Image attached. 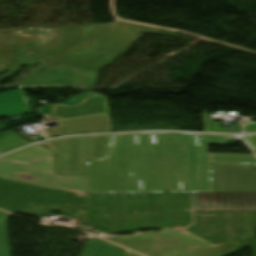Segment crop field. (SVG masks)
Returning a JSON list of instances; mask_svg holds the SVG:
<instances>
[{"instance_id": "28ad6ade", "label": "crop field", "mask_w": 256, "mask_h": 256, "mask_svg": "<svg viewBox=\"0 0 256 256\" xmlns=\"http://www.w3.org/2000/svg\"><path fill=\"white\" fill-rule=\"evenodd\" d=\"M19 28H15V29H4V30H0V31H13V30H17Z\"/></svg>"}, {"instance_id": "dd49c442", "label": "crop field", "mask_w": 256, "mask_h": 256, "mask_svg": "<svg viewBox=\"0 0 256 256\" xmlns=\"http://www.w3.org/2000/svg\"><path fill=\"white\" fill-rule=\"evenodd\" d=\"M238 247V242L233 244H220L219 246L211 247L184 256H228L230 252Z\"/></svg>"}, {"instance_id": "f4fd0767", "label": "crop field", "mask_w": 256, "mask_h": 256, "mask_svg": "<svg viewBox=\"0 0 256 256\" xmlns=\"http://www.w3.org/2000/svg\"><path fill=\"white\" fill-rule=\"evenodd\" d=\"M212 163L256 165L254 155L210 154Z\"/></svg>"}, {"instance_id": "34b2d1b8", "label": "crop field", "mask_w": 256, "mask_h": 256, "mask_svg": "<svg viewBox=\"0 0 256 256\" xmlns=\"http://www.w3.org/2000/svg\"><path fill=\"white\" fill-rule=\"evenodd\" d=\"M26 113H28V103L22 91L0 94V117H13Z\"/></svg>"}, {"instance_id": "412701ff", "label": "crop field", "mask_w": 256, "mask_h": 256, "mask_svg": "<svg viewBox=\"0 0 256 256\" xmlns=\"http://www.w3.org/2000/svg\"><path fill=\"white\" fill-rule=\"evenodd\" d=\"M124 249L104 242L96 237H88L81 256H121Z\"/></svg>"}, {"instance_id": "5a996713", "label": "crop field", "mask_w": 256, "mask_h": 256, "mask_svg": "<svg viewBox=\"0 0 256 256\" xmlns=\"http://www.w3.org/2000/svg\"><path fill=\"white\" fill-rule=\"evenodd\" d=\"M243 131H244V133L256 132V123L252 122V124L250 126L244 127Z\"/></svg>"}, {"instance_id": "8a807250", "label": "crop field", "mask_w": 256, "mask_h": 256, "mask_svg": "<svg viewBox=\"0 0 256 256\" xmlns=\"http://www.w3.org/2000/svg\"><path fill=\"white\" fill-rule=\"evenodd\" d=\"M228 136L114 135L106 159L88 163L89 193L213 192L207 145Z\"/></svg>"}, {"instance_id": "ac0d7876", "label": "crop field", "mask_w": 256, "mask_h": 256, "mask_svg": "<svg viewBox=\"0 0 256 256\" xmlns=\"http://www.w3.org/2000/svg\"><path fill=\"white\" fill-rule=\"evenodd\" d=\"M97 75V72L70 65L42 63L20 86L94 87Z\"/></svg>"}, {"instance_id": "e52e79f7", "label": "crop field", "mask_w": 256, "mask_h": 256, "mask_svg": "<svg viewBox=\"0 0 256 256\" xmlns=\"http://www.w3.org/2000/svg\"><path fill=\"white\" fill-rule=\"evenodd\" d=\"M9 214L0 212V256H11L6 219Z\"/></svg>"}, {"instance_id": "3316defc", "label": "crop field", "mask_w": 256, "mask_h": 256, "mask_svg": "<svg viewBox=\"0 0 256 256\" xmlns=\"http://www.w3.org/2000/svg\"><path fill=\"white\" fill-rule=\"evenodd\" d=\"M124 256H139V255H137V254H135V253H132V252L126 251V253H125Z\"/></svg>"}, {"instance_id": "d8731c3e", "label": "crop field", "mask_w": 256, "mask_h": 256, "mask_svg": "<svg viewBox=\"0 0 256 256\" xmlns=\"http://www.w3.org/2000/svg\"><path fill=\"white\" fill-rule=\"evenodd\" d=\"M240 138L256 153V135L240 136Z\"/></svg>"}]
</instances>
